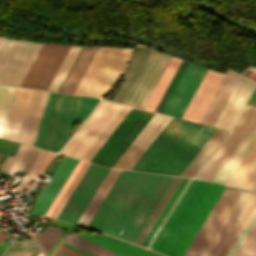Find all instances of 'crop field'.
<instances>
[{"mask_svg": "<svg viewBox=\"0 0 256 256\" xmlns=\"http://www.w3.org/2000/svg\"><path fill=\"white\" fill-rule=\"evenodd\" d=\"M215 130L172 117L132 169L180 175Z\"/></svg>", "mask_w": 256, "mask_h": 256, "instance_id": "1", "label": "crop field"}, {"mask_svg": "<svg viewBox=\"0 0 256 256\" xmlns=\"http://www.w3.org/2000/svg\"><path fill=\"white\" fill-rule=\"evenodd\" d=\"M224 188L194 179L151 249L182 256Z\"/></svg>", "mask_w": 256, "mask_h": 256, "instance_id": "2", "label": "crop field"}, {"mask_svg": "<svg viewBox=\"0 0 256 256\" xmlns=\"http://www.w3.org/2000/svg\"><path fill=\"white\" fill-rule=\"evenodd\" d=\"M238 193V190L225 189L183 256L200 255ZM253 196L254 194L252 193L240 191L200 256H216L234 227V222L238 221Z\"/></svg>", "mask_w": 256, "mask_h": 256, "instance_id": "3", "label": "crop field"}, {"mask_svg": "<svg viewBox=\"0 0 256 256\" xmlns=\"http://www.w3.org/2000/svg\"><path fill=\"white\" fill-rule=\"evenodd\" d=\"M149 176L148 173L122 170L87 227L113 235Z\"/></svg>", "mask_w": 256, "mask_h": 256, "instance_id": "4", "label": "crop field"}, {"mask_svg": "<svg viewBox=\"0 0 256 256\" xmlns=\"http://www.w3.org/2000/svg\"><path fill=\"white\" fill-rule=\"evenodd\" d=\"M81 96L50 92L34 146L58 152L69 137Z\"/></svg>", "mask_w": 256, "mask_h": 256, "instance_id": "5", "label": "crop field"}, {"mask_svg": "<svg viewBox=\"0 0 256 256\" xmlns=\"http://www.w3.org/2000/svg\"><path fill=\"white\" fill-rule=\"evenodd\" d=\"M107 50L108 48L98 47L95 55L93 56L90 64L88 65L84 75L82 76L79 84L74 91L75 94L84 95ZM133 50L134 49H128L127 51V49L125 48H109L85 95L101 97L103 91L105 90L107 84L109 83L126 51V55L124 56L122 62L120 63L104 93L119 77Z\"/></svg>", "mask_w": 256, "mask_h": 256, "instance_id": "6", "label": "crop field"}, {"mask_svg": "<svg viewBox=\"0 0 256 256\" xmlns=\"http://www.w3.org/2000/svg\"><path fill=\"white\" fill-rule=\"evenodd\" d=\"M173 179L151 174L114 235L134 242Z\"/></svg>", "mask_w": 256, "mask_h": 256, "instance_id": "7", "label": "crop field"}, {"mask_svg": "<svg viewBox=\"0 0 256 256\" xmlns=\"http://www.w3.org/2000/svg\"><path fill=\"white\" fill-rule=\"evenodd\" d=\"M154 112L132 107L91 162L112 167Z\"/></svg>", "mask_w": 256, "mask_h": 256, "instance_id": "8", "label": "crop field"}, {"mask_svg": "<svg viewBox=\"0 0 256 256\" xmlns=\"http://www.w3.org/2000/svg\"><path fill=\"white\" fill-rule=\"evenodd\" d=\"M41 46L3 38L0 44V83L20 86Z\"/></svg>", "mask_w": 256, "mask_h": 256, "instance_id": "9", "label": "crop field"}, {"mask_svg": "<svg viewBox=\"0 0 256 256\" xmlns=\"http://www.w3.org/2000/svg\"><path fill=\"white\" fill-rule=\"evenodd\" d=\"M121 106L101 100L60 153L80 158Z\"/></svg>", "mask_w": 256, "mask_h": 256, "instance_id": "10", "label": "crop field"}, {"mask_svg": "<svg viewBox=\"0 0 256 256\" xmlns=\"http://www.w3.org/2000/svg\"><path fill=\"white\" fill-rule=\"evenodd\" d=\"M70 46L43 44L21 86L47 90Z\"/></svg>", "mask_w": 256, "mask_h": 256, "instance_id": "11", "label": "crop field"}, {"mask_svg": "<svg viewBox=\"0 0 256 256\" xmlns=\"http://www.w3.org/2000/svg\"><path fill=\"white\" fill-rule=\"evenodd\" d=\"M256 124V107L247 105L234 130L196 176L211 181Z\"/></svg>", "mask_w": 256, "mask_h": 256, "instance_id": "12", "label": "crop field"}, {"mask_svg": "<svg viewBox=\"0 0 256 256\" xmlns=\"http://www.w3.org/2000/svg\"><path fill=\"white\" fill-rule=\"evenodd\" d=\"M91 163L79 184L57 216L58 219L76 223L85 207L110 171V168H98Z\"/></svg>", "mask_w": 256, "mask_h": 256, "instance_id": "13", "label": "crop field"}, {"mask_svg": "<svg viewBox=\"0 0 256 256\" xmlns=\"http://www.w3.org/2000/svg\"><path fill=\"white\" fill-rule=\"evenodd\" d=\"M190 181L191 179L175 177L144 228L138 235L135 243L149 247ZM152 229H154V231H152ZM149 234H151V236H149Z\"/></svg>", "mask_w": 256, "mask_h": 256, "instance_id": "14", "label": "crop field"}, {"mask_svg": "<svg viewBox=\"0 0 256 256\" xmlns=\"http://www.w3.org/2000/svg\"><path fill=\"white\" fill-rule=\"evenodd\" d=\"M170 57L152 50L124 104L143 108Z\"/></svg>", "mask_w": 256, "mask_h": 256, "instance_id": "15", "label": "crop field"}, {"mask_svg": "<svg viewBox=\"0 0 256 256\" xmlns=\"http://www.w3.org/2000/svg\"><path fill=\"white\" fill-rule=\"evenodd\" d=\"M206 69L188 63L162 113L181 118Z\"/></svg>", "mask_w": 256, "mask_h": 256, "instance_id": "16", "label": "crop field"}, {"mask_svg": "<svg viewBox=\"0 0 256 256\" xmlns=\"http://www.w3.org/2000/svg\"><path fill=\"white\" fill-rule=\"evenodd\" d=\"M170 118L155 113L113 167L131 169Z\"/></svg>", "mask_w": 256, "mask_h": 256, "instance_id": "17", "label": "crop field"}, {"mask_svg": "<svg viewBox=\"0 0 256 256\" xmlns=\"http://www.w3.org/2000/svg\"><path fill=\"white\" fill-rule=\"evenodd\" d=\"M224 75L207 70L182 118L199 122Z\"/></svg>", "mask_w": 256, "mask_h": 256, "instance_id": "18", "label": "crop field"}, {"mask_svg": "<svg viewBox=\"0 0 256 256\" xmlns=\"http://www.w3.org/2000/svg\"><path fill=\"white\" fill-rule=\"evenodd\" d=\"M255 84V82L241 75L228 102L226 103L224 109L219 115L217 121L215 122V127L227 130L232 129L242 107L250 96Z\"/></svg>", "mask_w": 256, "mask_h": 256, "instance_id": "19", "label": "crop field"}, {"mask_svg": "<svg viewBox=\"0 0 256 256\" xmlns=\"http://www.w3.org/2000/svg\"><path fill=\"white\" fill-rule=\"evenodd\" d=\"M77 162L78 159L65 156L58 169L44 188L42 194L33 207L32 212L44 216Z\"/></svg>", "mask_w": 256, "mask_h": 256, "instance_id": "20", "label": "crop field"}, {"mask_svg": "<svg viewBox=\"0 0 256 256\" xmlns=\"http://www.w3.org/2000/svg\"><path fill=\"white\" fill-rule=\"evenodd\" d=\"M241 74L229 70L207 107L200 123L213 126Z\"/></svg>", "mask_w": 256, "mask_h": 256, "instance_id": "21", "label": "crop field"}, {"mask_svg": "<svg viewBox=\"0 0 256 256\" xmlns=\"http://www.w3.org/2000/svg\"><path fill=\"white\" fill-rule=\"evenodd\" d=\"M255 143H256V126L250 132V134L246 137V139L242 142V144L238 147V149L234 152V154L230 157V159L226 162V164L222 167V169L218 172V174L214 177L213 180L225 183V181L237 168V166L248 154V152L255 145Z\"/></svg>", "mask_w": 256, "mask_h": 256, "instance_id": "22", "label": "crop field"}, {"mask_svg": "<svg viewBox=\"0 0 256 256\" xmlns=\"http://www.w3.org/2000/svg\"><path fill=\"white\" fill-rule=\"evenodd\" d=\"M77 236L84 238L92 243H95L101 247H104L110 251H113L121 256H157L155 254L149 253L147 251L128 245L113 238L92 235Z\"/></svg>", "mask_w": 256, "mask_h": 256, "instance_id": "23", "label": "crop field"}, {"mask_svg": "<svg viewBox=\"0 0 256 256\" xmlns=\"http://www.w3.org/2000/svg\"><path fill=\"white\" fill-rule=\"evenodd\" d=\"M229 132L217 129L181 175L193 177Z\"/></svg>", "mask_w": 256, "mask_h": 256, "instance_id": "24", "label": "crop field"}, {"mask_svg": "<svg viewBox=\"0 0 256 256\" xmlns=\"http://www.w3.org/2000/svg\"><path fill=\"white\" fill-rule=\"evenodd\" d=\"M29 90L30 89H27V88H21V87L17 88V92L14 98V102L9 115L7 126L4 132V136H3L4 138H7L13 141L15 140Z\"/></svg>", "mask_w": 256, "mask_h": 256, "instance_id": "25", "label": "crop field"}, {"mask_svg": "<svg viewBox=\"0 0 256 256\" xmlns=\"http://www.w3.org/2000/svg\"><path fill=\"white\" fill-rule=\"evenodd\" d=\"M181 61L182 60H180V59L171 57L168 65L166 66L158 83L156 84L149 99L147 100V102L144 106V109L154 111L156 105L158 104L160 98L162 97L164 91L166 90L169 82L171 81V79H172L173 75L175 74L177 68L179 67Z\"/></svg>", "mask_w": 256, "mask_h": 256, "instance_id": "26", "label": "crop field"}, {"mask_svg": "<svg viewBox=\"0 0 256 256\" xmlns=\"http://www.w3.org/2000/svg\"><path fill=\"white\" fill-rule=\"evenodd\" d=\"M120 172L121 170L111 169V171L103 181L102 185L100 186V188L98 189V191L86 207L85 211L77 221V224L86 226L91 216L103 200L104 196L106 195V193L108 192V190L110 189V187L112 186Z\"/></svg>", "mask_w": 256, "mask_h": 256, "instance_id": "27", "label": "crop field"}, {"mask_svg": "<svg viewBox=\"0 0 256 256\" xmlns=\"http://www.w3.org/2000/svg\"><path fill=\"white\" fill-rule=\"evenodd\" d=\"M97 47H84L61 91L73 93Z\"/></svg>", "mask_w": 256, "mask_h": 256, "instance_id": "28", "label": "crop field"}, {"mask_svg": "<svg viewBox=\"0 0 256 256\" xmlns=\"http://www.w3.org/2000/svg\"><path fill=\"white\" fill-rule=\"evenodd\" d=\"M130 106L123 105L122 108L117 112V114L113 117V119L109 122V124L104 128V130L100 133V135L95 139V141L91 144V146L87 149V151L82 155L81 159H85L90 161L94 154L98 151V149L102 146L105 140L109 137L112 131L116 128L119 122L123 119V117L130 110ZM132 109V108H131Z\"/></svg>", "mask_w": 256, "mask_h": 256, "instance_id": "29", "label": "crop field"}, {"mask_svg": "<svg viewBox=\"0 0 256 256\" xmlns=\"http://www.w3.org/2000/svg\"><path fill=\"white\" fill-rule=\"evenodd\" d=\"M17 87L0 85V136L6 126L13 98Z\"/></svg>", "mask_w": 256, "mask_h": 256, "instance_id": "30", "label": "crop field"}, {"mask_svg": "<svg viewBox=\"0 0 256 256\" xmlns=\"http://www.w3.org/2000/svg\"><path fill=\"white\" fill-rule=\"evenodd\" d=\"M255 208H256V195L254 196V198L252 199V201L250 202V204L246 208L245 212L243 213V215L241 216V218L239 219V221L235 225V227H234L235 229H233L232 233L228 237L227 241L225 242V244L223 245V247L221 248V250L219 251L217 256H226L227 252L229 251L232 244L236 240L240 231H242L243 227L247 223L248 219L252 215Z\"/></svg>", "mask_w": 256, "mask_h": 256, "instance_id": "31", "label": "crop field"}, {"mask_svg": "<svg viewBox=\"0 0 256 256\" xmlns=\"http://www.w3.org/2000/svg\"><path fill=\"white\" fill-rule=\"evenodd\" d=\"M80 49H81V47L71 46L65 60L63 61L57 75L55 76L49 90L58 91L61 83L63 82L66 74L68 73V71H69L71 65L73 64L76 56L78 55Z\"/></svg>", "mask_w": 256, "mask_h": 256, "instance_id": "32", "label": "crop field"}, {"mask_svg": "<svg viewBox=\"0 0 256 256\" xmlns=\"http://www.w3.org/2000/svg\"><path fill=\"white\" fill-rule=\"evenodd\" d=\"M65 242H68L74 246H77L83 250H86L94 255L97 256H119L117 254H114L108 250H105L99 246H96L90 242H87L81 238H78L72 234H70L66 239Z\"/></svg>", "mask_w": 256, "mask_h": 256, "instance_id": "33", "label": "crop field"}, {"mask_svg": "<svg viewBox=\"0 0 256 256\" xmlns=\"http://www.w3.org/2000/svg\"><path fill=\"white\" fill-rule=\"evenodd\" d=\"M36 248L34 243L25 239L21 242L13 240L1 256H30Z\"/></svg>", "mask_w": 256, "mask_h": 256, "instance_id": "34", "label": "crop field"}, {"mask_svg": "<svg viewBox=\"0 0 256 256\" xmlns=\"http://www.w3.org/2000/svg\"><path fill=\"white\" fill-rule=\"evenodd\" d=\"M89 165H90V162L84 161V163L82 164L81 168L79 169V171L77 172L76 176L74 177V179L70 183L69 187L67 188V190L65 191L64 195L62 196V198L58 202L57 206L53 210V212L50 215V217L56 218V216L58 215L59 211L61 210V208L63 207V205L67 201L68 197L70 196V194L72 193V191L76 187L77 183L79 182V180L81 179V177L83 176V174L85 173V171H86V169L88 168Z\"/></svg>", "mask_w": 256, "mask_h": 256, "instance_id": "35", "label": "crop field"}, {"mask_svg": "<svg viewBox=\"0 0 256 256\" xmlns=\"http://www.w3.org/2000/svg\"><path fill=\"white\" fill-rule=\"evenodd\" d=\"M29 146L20 144L16 154L14 157L7 155L1 170H5L10 173H14L16 167L19 165V163L22 161L27 149Z\"/></svg>", "mask_w": 256, "mask_h": 256, "instance_id": "36", "label": "crop field"}, {"mask_svg": "<svg viewBox=\"0 0 256 256\" xmlns=\"http://www.w3.org/2000/svg\"><path fill=\"white\" fill-rule=\"evenodd\" d=\"M61 231L62 229L48 226L36 242L46 253V251L49 249V247L52 245V243L55 241Z\"/></svg>", "mask_w": 256, "mask_h": 256, "instance_id": "37", "label": "crop field"}, {"mask_svg": "<svg viewBox=\"0 0 256 256\" xmlns=\"http://www.w3.org/2000/svg\"><path fill=\"white\" fill-rule=\"evenodd\" d=\"M255 222H256V210L254 211L253 215L251 216L248 223L244 227L243 231L240 233L239 237L235 241L234 245L230 249L227 256H235V254L237 253L238 249L242 245L243 241L245 240L246 236L250 232V230L253 227V225L255 224Z\"/></svg>", "mask_w": 256, "mask_h": 256, "instance_id": "38", "label": "crop field"}, {"mask_svg": "<svg viewBox=\"0 0 256 256\" xmlns=\"http://www.w3.org/2000/svg\"><path fill=\"white\" fill-rule=\"evenodd\" d=\"M46 152H47L46 150L40 149V151H39L35 161L33 162L30 170L27 171V173L25 174V176L23 177V179L21 180V182L19 183V185L15 189L16 192H20V193L22 192V190L24 189V187L26 186V184L28 183V181L30 180V178L32 177V175L34 174L36 169L41 164Z\"/></svg>", "mask_w": 256, "mask_h": 256, "instance_id": "39", "label": "crop field"}, {"mask_svg": "<svg viewBox=\"0 0 256 256\" xmlns=\"http://www.w3.org/2000/svg\"><path fill=\"white\" fill-rule=\"evenodd\" d=\"M99 100L100 99L82 96L75 118L84 120Z\"/></svg>", "mask_w": 256, "mask_h": 256, "instance_id": "40", "label": "crop field"}, {"mask_svg": "<svg viewBox=\"0 0 256 256\" xmlns=\"http://www.w3.org/2000/svg\"><path fill=\"white\" fill-rule=\"evenodd\" d=\"M83 163L82 160H79V162L77 163L76 167L74 168V170L72 171L71 175L69 176V178L67 179V181L65 182L64 186L62 187V189L60 190L59 194L57 195V197L55 198V200L53 201L52 205L50 206V208L48 209L47 213L45 214L46 217H49V215L51 214L52 210L54 209V207L56 206L57 202L59 201V199L61 198V196L63 195L64 191L66 190V188L68 187L69 183L71 182V180L73 179V177L75 176L76 172L78 171V169L80 168L81 164Z\"/></svg>", "mask_w": 256, "mask_h": 256, "instance_id": "41", "label": "crop field"}, {"mask_svg": "<svg viewBox=\"0 0 256 256\" xmlns=\"http://www.w3.org/2000/svg\"><path fill=\"white\" fill-rule=\"evenodd\" d=\"M39 151V148H35V147H29L23 161L21 162V164L19 165V167L17 168V170H26L30 167V165L32 164V162L34 161L37 153Z\"/></svg>", "mask_w": 256, "mask_h": 256, "instance_id": "42", "label": "crop field"}, {"mask_svg": "<svg viewBox=\"0 0 256 256\" xmlns=\"http://www.w3.org/2000/svg\"><path fill=\"white\" fill-rule=\"evenodd\" d=\"M56 155V153L53 152H47L42 164L37 169L36 173L34 174L33 178L36 179L37 176L40 174V172L45 168V166L52 160V158Z\"/></svg>", "mask_w": 256, "mask_h": 256, "instance_id": "43", "label": "crop field"}, {"mask_svg": "<svg viewBox=\"0 0 256 256\" xmlns=\"http://www.w3.org/2000/svg\"><path fill=\"white\" fill-rule=\"evenodd\" d=\"M59 250L65 252V253H68V254H70L72 256H85V255H83L81 253H78V252H76V251H74L72 249H69V248H67V247H65L63 245L60 246Z\"/></svg>", "mask_w": 256, "mask_h": 256, "instance_id": "44", "label": "crop field"}, {"mask_svg": "<svg viewBox=\"0 0 256 256\" xmlns=\"http://www.w3.org/2000/svg\"><path fill=\"white\" fill-rule=\"evenodd\" d=\"M63 245H65V246H67V247H69V248H72V249H74V250H76V251H78V252H81V253H83V254H85V255H87V256H94V255H92V254H90V253H88V252H85V251H83V250L77 248V247H73V246H71V245H69V244H67V243H65V242H63Z\"/></svg>", "mask_w": 256, "mask_h": 256, "instance_id": "45", "label": "crop field"}, {"mask_svg": "<svg viewBox=\"0 0 256 256\" xmlns=\"http://www.w3.org/2000/svg\"><path fill=\"white\" fill-rule=\"evenodd\" d=\"M9 245V243L4 240L1 244H0V254L3 252V250ZM5 251V250H4Z\"/></svg>", "mask_w": 256, "mask_h": 256, "instance_id": "46", "label": "crop field"}, {"mask_svg": "<svg viewBox=\"0 0 256 256\" xmlns=\"http://www.w3.org/2000/svg\"><path fill=\"white\" fill-rule=\"evenodd\" d=\"M9 233H4V232H2L1 230H0V243H1V241L8 235Z\"/></svg>", "mask_w": 256, "mask_h": 256, "instance_id": "47", "label": "crop field"}, {"mask_svg": "<svg viewBox=\"0 0 256 256\" xmlns=\"http://www.w3.org/2000/svg\"><path fill=\"white\" fill-rule=\"evenodd\" d=\"M39 252H40V251H39V249L37 248V249L35 250V252H34L31 256H36ZM37 256H44V255L41 254V252H40Z\"/></svg>", "mask_w": 256, "mask_h": 256, "instance_id": "48", "label": "crop field"}, {"mask_svg": "<svg viewBox=\"0 0 256 256\" xmlns=\"http://www.w3.org/2000/svg\"><path fill=\"white\" fill-rule=\"evenodd\" d=\"M56 254H58V255H60V256H70V255H68V254H65V253L59 251V250H57Z\"/></svg>", "mask_w": 256, "mask_h": 256, "instance_id": "49", "label": "crop field"}, {"mask_svg": "<svg viewBox=\"0 0 256 256\" xmlns=\"http://www.w3.org/2000/svg\"><path fill=\"white\" fill-rule=\"evenodd\" d=\"M2 38L0 37V42H1Z\"/></svg>", "mask_w": 256, "mask_h": 256, "instance_id": "50", "label": "crop field"}, {"mask_svg": "<svg viewBox=\"0 0 256 256\" xmlns=\"http://www.w3.org/2000/svg\"><path fill=\"white\" fill-rule=\"evenodd\" d=\"M54 256H58V255L54 254Z\"/></svg>", "mask_w": 256, "mask_h": 256, "instance_id": "51", "label": "crop field"}, {"mask_svg": "<svg viewBox=\"0 0 256 256\" xmlns=\"http://www.w3.org/2000/svg\"><path fill=\"white\" fill-rule=\"evenodd\" d=\"M256 190V189H255Z\"/></svg>", "mask_w": 256, "mask_h": 256, "instance_id": "52", "label": "crop field"}]
</instances>
